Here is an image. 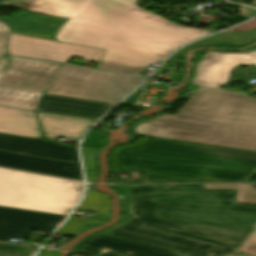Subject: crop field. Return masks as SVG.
Returning a JSON list of instances; mask_svg holds the SVG:
<instances>
[{
    "label": "crop field",
    "instance_id": "obj_1",
    "mask_svg": "<svg viewBox=\"0 0 256 256\" xmlns=\"http://www.w3.org/2000/svg\"><path fill=\"white\" fill-rule=\"evenodd\" d=\"M236 192L203 184L137 186V221L110 235L178 256L229 253L256 226V206L235 204Z\"/></svg>",
    "mask_w": 256,
    "mask_h": 256
},
{
    "label": "crop field",
    "instance_id": "obj_2",
    "mask_svg": "<svg viewBox=\"0 0 256 256\" xmlns=\"http://www.w3.org/2000/svg\"><path fill=\"white\" fill-rule=\"evenodd\" d=\"M137 0H89L58 41L104 49L101 60L147 68L209 31L184 27L139 9Z\"/></svg>",
    "mask_w": 256,
    "mask_h": 256
},
{
    "label": "crop field",
    "instance_id": "obj_3",
    "mask_svg": "<svg viewBox=\"0 0 256 256\" xmlns=\"http://www.w3.org/2000/svg\"><path fill=\"white\" fill-rule=\"evenodd\" d=\"M132 129L164 139L256 151V99L200 88L175 116L159 113Z\"/></svg>",
    "mask_w": 256,
    "mask_h": 256
},
{
    "label": "crop field",
    "instance_id": "obj_4",
    "mask_svg": "<svg viewBox=\"0 0 256 256\" xmlns=\"http://www.w3.org/2000/svg\"><path fill=\"white\" fill-rule=\"evenodd\" d=\"M117 161L120 173L140 170L151 183L244 182L256 173V152L189 142L148 140Z\"/></svg>",
    "mask_w": 256,
    "mask_h": 256
},
{
    "label": "crop field",
    "instance_id": "obj_5",
    "mask_svg": "<svg viewBox=\"0 0 256 256\" xmlns=\"http://www.w3.org/2000/svg\"><path fill=\"white\" fill-rule=\"evenodd\" d=\"M83 183L0 168V205L67 215Z\"/></svg>",
    "mask_w": 256,
    "mask_h": 256
},
{
    "label": "crop field",
    "instance_id": "obj_6",
    "mask_svg": "<svg viewBox=\"0 0 256 256\" xmlns=\"http://www.w3.org/2000/svg\"><path fill=\"white\" fill-rule=\"evenodd\" d=\"M144 80L62 65L45 93L116 104Z\"/></svg>",
    "mask_w": 256,
    "mask_h": 256
},
{
    "label": "crop field",
    "instance_id": "obj_7",
    "mask_svg": "<svg viewBox=\"0 0 256 256\" xmlns=\"http://www.w3.org/2000/svg\"><path fill=\"white\" fill-rule=\"evenodd\" d=\"M8 51L12 55L67 63L71 56L98 62L104 50L58 43L25 35L10 34Z\"/></svg>",
    "mask_w": 256,
    "mask_h": 256
},
{
    "label": "crop field",
    "instance_id": "obj_8",
    "mask_svg": "<svg viewBox=\"0 0 256 256\" xmlns=\"http://www.w3.org/2000/svg\"><path fill=\"white\" fill-rule=\"evenodd\" d=\"M64 217L0 206V241L9 242L10 238L26 239L29 229L51 233L55 228L54 223Z\"/></svg>",
    "mask_w": 256,
    "mask_h": 256
},
{
    "label": "crop field",
    "instance_id": "obj_9",
    "mask_svg": "<svg viewBox=\"0 0 256 256\" xmlns=\"http://www.w3.org/2000/svg\"><path fill=\"white\" fill-rule=\"evenodd\" d=\"M61 65L13 58L0 85L44 92L50 79Z\"/></svg>",
    "mask_w": 256,
    "mask_h": 256
},
{
    "label": "crop field",
    "instance_id": "obj_10",
    "mask_svg": "<svg viewBox=\"0 0 256 256\" xmlns=\"http://www.w3.org/2000/svg\"><path fill=\"white\" fill-rule=\"evenodd\" d=\"M256 64V52L247 53H216L202 59L196 65V76L192 84L220 87L228 81L230 68L240 63Z\"/></svg>",
    "mask_w": 256,
    "mask_h": 256
},
{
    "label": "crop field",
    "instance_id": "obj_11",
    "mask_svg": "<svg viewBox=\"0 0 256 256\" xmlns=\"http://www.w3.org/2000/svg\"><path fill=\"white\" fill-rule=\"evenodd\" d=\"M0 149L79 164L76 148L43 140L0 133Z\"/></svg>",
    "mask_w": 256,
    "mask_h": 256
},
{
    "label": "crop field",
    "instance_id": "obj_12",
    "mask_svg": "<svg viewBox=\"0 0 256 256\" xmlns=\"http://www.w3.org/2000/svg\"><path fill=\"white\" fill-rule=\"evenodd\" d=\"M102 247L126 256H176L170 250L98 234L92 235L73 251L96 256L102 251ZM127 251L134 253L130 255Z\"/></svg>",
    "mask_w": 256,
    "mask_h": 256
},
{
    "label": "crop field",
    "instance_id": "obj_13",
    "mask_svg": "<svg viewBox=\"0 0 256 256\" xmlns=\"http://www.w3.org/2000/svg\"><path fill=\"white\" fill-rule=\"evenodd\" d=\"M0 166L82 180L80 167L61 161L17 154L0 150Z\"/></svg>",
    "mask_w": 256,
    "mask_h": 256
},
{
    "label": "crop field",
    "instance_id": "obj_14",
    "mask_svg": "<svg viewBox=\"0 0 256 256\" xmlns=\"http://www.w3.org/2000/svg\"><path fill=\"white\" fill-rule=\"evenodd\" d=\"M113 104L45 94L37 110L97 120Z\"/></svg>",
    "mask_w": 256,
    "mask_h": 256
},
{
    "label": "crop field",
    "instance_id": "obj_15",
    "mask_svg": "<svg viewBox=\"0 0 256 256\" xmlns=\"http://www.w3.org/2000/svg\"><path fill=\"white\" fill-rule=\"evenodd\" d=\"M10 26L11 33H20L37 38L55 40L58 28L67 20L54 16L23 13L17 17L0 18Z\"/></svg>",
    "mask_w": 256,
    "mask_h": 256
},
{
    "label": "crop field",
    "instance_id": "obj_16",
    "mask_svg": "<svg viewBox=\"0 0 256 256\" xmlns=\"http://www.w3.org/2000/svg\"><path fill=\"white\" fill-rule=\"evenodd\" d=\"M0 132L41 139L33 111L0 106Z\"/></svg>",
    "mask_w": 256,
    "mask_h": 256
},
{
    "label": "crop field",
    "instance_id": "obj_17",
    "mask_svg": "<svg viewBox=\"0 0 256 256\" xmlns=\"http://www.w3.org/2000/svg\"><path fill=\"white\" fill-rule=\"evenodd\" d=\"M38 117L45 131V138L53 140L58 137L79 139L84 130L94 122L44 113H38Z\"/></svg>",
    "mask_w": 256,
    "mask_h": 256
},
{
    "label": "crop field",
    "instance_id": "obj_18",
    "mask_svg": "<svg viewBox=\"0 0 256 256\" xmlns=\"http://www.w3.org/2000/svg\"><path fill=\"white\" fill-rule=\"evenodd\" d=\"M29 10L70 19L83 9L88 0H33Z\"/></svg>",
    "mask_w": 256,
    "mask_h": 256
},
{
    "label": "crop field",
    "instance_id": "obj_19",
    "mask_svg": "<svg viewBox=\"0 0 256 256\" xmlns=\"http://www.w3.org/2000/svg\"><path fill=\"white\" fill-rule=\"evenodd\" d=\"M255 38H256V28L251 30H243V31L223 32V33H219L214 36L208 37L206 39H203L201 41H198L196 43H193L181 49L176 54L183 55L186 51H188L191 48L198 47V46L214 45L219 43H226V44L239 46V45L249 43Z\"/></svg>",
    "mask_w": 256,
    "mask_h": 256
},
{
    "label": "crop field",
    "instance_id": "obj_20",
    "mask_svg": "<svg viewBox=\"0 0 256 256\" xmlns=\"http://www.w3.org/2000/svg\"><path fill=\"white\" fill-rule=\"evenodd\" d=\"M41 95L40 92L0 87V105L34 110Z\"/></svg>",
    "mask_w": 256,
    "mask_h": 256
},
{
    "label": "crop field",
    "instance_id": "obj_21",
    "mask_svg": "<svg viewBox=\"0 0 256 256\" xmlns=\"http://www.w3.org/2000/svg\"><path fill=\"white\" fill-rule=\"evenodd\" d=\"M116 188L123 191L122 202H123V208H124V215L119 224L115 225L110 230H103L100 233L109 234L136 220V186H127V187L116 186Z\"/></svg>",
    "mask_w": 256,
    "mask_h": 256
},
{
    "label": "crop field",
    "instance_id": "obj_22",
    "mask_svg": "<svg viewBox=\"0 0 256 256\" xmlns=\"http://www.w3.org/2000/svg\"><path fill=\"white\" fill-rule=\"evenodd\" d=\"M204 189H238L236 202L256 204V187L247 184H204Z\"/></svg>",
    "mask_w": 256,
    "mask_h": 256
},
{
    "label": "crop field",
    "instance_id": "obj_23",
    "mask_svg": "<svg viewBox=\"0 0 256 256\" xmlns=\"http://www.w3.org/2000/svg\"><path fill=\"white\" fill-rule=\"evenodd\" d=\"M108 205H110L109 196L87 190L85 200L78 209L100 212L101 215H107Z\"/></svg>",
    "mask_w": 256,
    "mask_h": 256
},
{
    "label": "crop field",
    "instance_id": "obj_24",
    "mask_svg": "<svg viewBox=\"0 0 256 256\" xmlns=\"http://www.w3.org/2000/svg\"><path fill=\"white\" fill-rule=\"evenodd\" d=\"M97 68L115 71V72L126 73V74L138 75V76H140L145 71L144 68L126 66V65L103 62V61H100Z\"/></svg>",
    "mask_w": 256,
    "mask_h": 256
},
{
    "label": "crop field",
    "instance_id": "obj_25",
    "mask_svg": "<svg viewBox=\"0 0 256 256\" xmlns=\"http://www.w3.org/2000/svg\"><path fill=\"white\" fill-rule=\"evenodd\" d=\"M89 222L98 223V224L107 223L102 221L71 217L59 231L78 234L83 230L84 226Z\"/></svg>",
    "mask_w": 256,
    "mask_h": 256
},
{
    "label": "crop field",
    "instance_id": "obj_26",
    "mask_svg": "<svg viewBox=\"0 0 256 256\" xmlns=\"http://www.w3.org/2000/svg\"><path fill=\"white\" fill-rule=\"evenodd\" d=\"M30 247L0 243V256H32Z\"/></svg>",
    "mask_w": 256,
    "mask_h": 256
},
{
    "label": "crop field",
    "instance_id": "obj_27",
    "mask_svg": "<svg viewBox=\"0 0 256 256\" xmlns=\"http://www.w3.org/2000/svg\"><path fill=\"white\" fill-rule=\"evenodd\" d=\"M103 133L99 131L89 130L85 139L83 140L84 147L100 148L104 143L101 140Z\"/></svg>",
    "mask_w": 256,
    "mask_h": 256
},
{
    "label": "crop field",
    "instance_id": "obj_28",
    "mask_svg": "<svg viewBox=\"0 0 256 256\" xmlns=\"http://www.w3.org/2000/svg\"><path fill=\"white\" fill-rule=\"evenodd\" d=\"M239 251L247 252L256 255V231L239 249Z\"/></svg>",
    "mask_w": 256,
    "mask_h": 256
},
{
    "label": "crop field",
    "instance_id": "obj_29",
    "mask_svg": "<svg viewBox=\"0 0 256 256\" xmlns=\"http://www.w3.org/2000/svg\"><path fill=\"white\" fill-rule=\"evenodd\" d=\"M98 150L96 149H86V148H82L81 152H82V156H83V161L84 164L86 165H91V166H95V158L94 155Z\"/></svg>",
    "mask_w": 256,
    "mask_h": 256
},
{
    "label": "crop field",
    "instance_id": "obj_30",
    "mask_svg": "<svg viewBox=\"0 0 256 256\" xmlns=\"http://www.w3.org/2000/svg\"><path fill=\"white\" fill-rule=\"evenodd\" d=\"M146 140H148L147 138H139V143L137 144H130V145H126V146H122L119 148H116L113 152V157H112V172L113 173H119L118 172V168H117V162H116V156L118 154V152L123 149V148H127V147H132V146H137V145H141L143 144Z\"/></svg>",
    "mask_w": 256,
    "mask_h": 256
},
{
    "label": "crop field",
    "instance_id": "obj_31",
    "mask_svg": "<svg viewBox=\"0 0 256 256\" xmlns=\"http://www.w3.org/2000/svg\"><path fill=\"white\" fill-rule=\"evenodd\" d=\"M142 88H143V86L141 88H139L136 92H134L131 96H129L126 100H124L121 104L133 106L135 104V102L137 101Z\"/></svg>",
    "mask_w": 256,
    "mask_h": 256
},
{
    "label": "crop field",
    "instance_id": "obj_32",
    "mask_svg": "<svg viewBox=\"0 0 256 256\" xmlns=\"http://www.w3.org/2000/svg\"><path fill=\"white\" fill-rule=\"evenodd\" d=\"M94 168L95 167L84 165L87 182H96L97 181L95 173H94Z\"/></svg>",
    "mask_w": 256,
    "mask_h": 256
},
{
    "label": "crop field",
    "instance_id": "obj_33",
    "mask_svg": "<svg viewBox=\"0 0 256 256\" xmlns=\"http://www.w3.org/2000/svg\"><path fill=\"white\" fill-rule=\"evenodd\" d=\"M7 33L0 32V58H2L3 54L5 53L4 45L6 40Z\"/></svg>",
    "mask_w": 256,
    "mask_h": 256
},
{
    "label": "crop field",
    "instance_id": "obj_34",
    "mask_svg": "<svg viewBox=\"0 0 256 256\" xmlns=\"http://www.w3.org/2000/svg\"><path fill=\"white\" fill-rule=\"evenodd\" d=\"M44 250V253L39 252L37 256H53L56 252L55 251H50V250Z\"/></svg>",
    "mask_w": 256,
    "mask_h": 256
},
{
    "label": "crop field",
    "instance_id": "obj_35",
    "mask_svg": "<svg viewBox=\"0 0 256 256\" xmlns=\"http://www.w3.org/2000/svg\"><path fill=\"white\" fill-rule=\"evenodd\" d=\"M100 256H121V255H118V254H115V253H112V252H109V251H105Z\"/></svg>",
    "mask_w": 256,
    "mask_h": 256
},
{
    "label": "crop field",
    "instance_id": "obj_36",
    "mask_svg": "<svg viewBox=\"0 0 256 256\" xmlns=\"http://www.w3.org/2000/svg\"><path fill=\"white\" fill-rule=\"evenodd\" d=\"M34 2L32 0H29L23 7V10H27ZM29 11V10H28Z\"/></svg>",
    "mask_w": 256,
    "mask_h": 256
},
{
    "label": "crop field",
    "instance_id": "obj_37",
    "mask_svg": "<svg viewBox=\"0 0 256 256\" xmlns=\"http://www.w3.org/2000/svg\"><path fill=\"white\" fill-rule=\"evenodd\" d=\"M227 256H249V255H245V254H242V253L235 252V253H232V254L227 255Z\"/></svg>",
    "mask_w": 256,
    "mask_h": 256
},
{
    "label": "crop field",
    "instance_id": "obj_38",
    "mask_svg": "<svg viewBox=\"0 0 256 256\" xmlns=\"http://www.w3.org/2000/svg\"><path fill=\"white\" fill-rule=\"evenodd\" d=\"M240 4L256 7V0H254L251 4H247V3H243V2H241Z\"/></svg>",
    "mask_w": 256,
    "mask_h": 256
},
{
    "label": "crop field",
    "instance_id": "obj_39",
    "mask_svg": "<svg viewBox=\"0 0 256 256\" xmlns=\"http://www.w3.org/2000/svg\"><path fill=\"white\" fill-rule=\"evenodd\" d=\"M6 62H7V60H5V61H0V71L3 70V68H4L5 64H6Z\"/></svg>",
    "mask_w": 256,
    "mask_h": 256
},
{
    "label": "crop field",
    "instance_id": "obj_40",
    "mask_svg": "<svg viewBox=\"0 0 256 256\" xmlns=\"http://www.w3.org/2000/svg\"><path fill=\"white\" fill-rule=\"evenodd\" d=\"M0 31L7 32V28L1 23H0Z\"/></svg>",
    "mask_w": 256,
    "mask_h": 256
},
{
    "label": "crop field",
    "instance_id": "obj_41",
    "mask_svg": "<svg viewBox=\"0 0 256 256\" xmlns=\"http://www.w3.org/2000/svg\"><path fill=\"white\" fill-rule=\"evenodd\" d=\"M81 61H82L81 59L73 58L71 62H72V63L80 64V63H81Z\"/></svg>",
    "mask_w": 256,
    "mask_h": 256
},
{
    "label": "crop field",
    "instance_id": "obj_42",
    "mask_svg": "<svg viewBox=\"0 0 256 256\" xmlns=\"http://www.w3.org/2000/svg\"><path fill=\"white\" fill-rule=\"evenodd\" d=\"M24 244H29V245H37V246H39V245H41V244H38V243H29V242H23Z\"/></svg>",
    "mask_w": 256,
    "mask_h": 256
},
{
    "label": "crop field",
    "instance_id": "obj_43",
    "mask_svg": "<svg viewBox=\"0 0 256 256\" xmlns=\"http://www.w3.org/2000/svg\"><path fill=\"white\" fill-rule=\"evenodd\" d=\"M57 234H61V235H72V236H75L74 234H67V233H61V232H57Z\"/></svg>",
    "mask_w": 256,
    "mask_h": 256
},
{
    "label": "crop field",
    "instance_id": "obj_44",
    "mask_svg": "<svg viewBox=\"0 0 256 256\" xmlns=\"http://www.w3.org/2000/svg\"><path fill=\"white\" fill-rule=\"evenodd\" d=\"M4 74V71L0 72V75H3Z\"/></svg>",
    "mask_w": 256,
    "mask_h": 256
}]
</instances>
